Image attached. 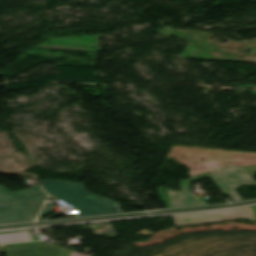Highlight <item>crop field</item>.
Masks as SVG:
<instances>
[{"instance_id": "obj_4", "label": "crop field", "mask_w": 256, "mask_h": 256, "mask_svg": "<svg viewBox=\"0 0 256 256\" xmlns=\"http://www.w3.org/2000/svg\"><path fill=\"white\" fill-rule=\"evenodd\" d=\"M175 226L247 218L256 221V206L199 214L173 216Z\"/></svg>"}, {"instance_id": "obj_5", "label": "crop field", "mask_w": 256, "mask_h": 256, "mask_svg": "<svg viewBox=\"0 0 256 256\" xmlns=\"http://www.w3.org/2000/svg\"><path fill=\"white\" fill-rule=\"evenodd\" d=\"M7 256H89L51 245L46 242L5 245Z\"/></svg>"}, {"instance_id": "obj_2", "label": "crop field", "mask_w": 256, "mask_h": 256, "mask_svg": "<svg viewBox=\"0 0 256 256\" xmlns=\"http://www.w3.org/2000/svg\"><path fill=\"white\" fill-rule=\"evenodd\" d=\"M220 190L229 195L233 201L242 200L234 190L241 185H256V182L244 166H232L208 172ZM182 191L174 192L164 188L170 208L207 204L205 200H196L189 183H180Z\"/></svg>"}, {"instance_id": "obj_1", "label": "crop field", "mask_w": 256, "mask_h": 256, "mask_svg": "<svg viewBox=\"0 0 256 256\" xmlns=\"http://www.w3.org/2000/svg\"><path fill=\"white\" fill-rule=\"evenodd\" d=\"M42 185L54 200L72 204L76 217L122 213L117 202L86 191L82 183L44 179Z\"/></svg>"}, {"instance_id": "obj_9", "label": "crop field", "mask_w": 256, "mask_h": 256, "mask_svg": "<svg viewBox=\"0 0 256 256\" xmlns=\"http://www.w3.org/2000/svg\"><path fill=\"white\" fill-rule=\"evenodd\" d=\"M59 215H61V214L56 213V214H54V215H52V216H50V217H47V218H45V219H51V218L56 217V216H59ZM43 220H44V219H43Z\"/></svg>"}, {"instance_id": "obj_3", "label": "crop field", "mask_w": 256, "mask_h": 256, "mask_svg": "<svg viewBox=\"0 0 256 256\" xmlns=\"http://www.w3.org/2000/svg\"><path fill=\"white\" fill-rule=\"evenodd\" d=\"M47 199L45 192L0 203V224L35 220Z\"/></svg>"}, {"instance_id": "obj_7", "label": "crop field", "mask_w": 256, "mask_h": 256, "mask_svg": "<svg viewBox=\"0 0 256 256\" xmlns=\"http://www.w3.org/2000/svg\"><path fill=\"white\" fill-rule=\"evenodd\" d=\"M32 240L28 231L0 233V243L23 242Z\"/></svg>"}, {"instance_id": "obj_6", "label": "crop field", "mask_w": 256, "mask_h": 256, "mask_svg": "<svg viewBox=\"0 0 256 256\" xmlns=\"http://www.w3.org/2000/svg\"><path fill=\"white\" fill-rule=\"evenodd\" d=\"M41 188L39 186L16 191V192H10L7 189H5L3 186H0V201H5L37 192H41Z\"/></svg>"}, {"instance_id": "obj_8", "label": "crop field", "mask_w": 256, "mask_h": 256, "mask_svg": "<svg viewBox=\"0 0 256 256\" xmlns=\"http://www.w3.org/2000/svg\"><path fill=\"white\" fill-rule=\"evenodd\" d=\"M55 203H46L45 207L43 208L41 214L39 215L38 218L43 217L49 213H51L53 211V207H54Z\"/></svg>"}, {"instance_id": "obj_10", "label": "crop field", "mask_w": 256, "mask_h": 256, "mask_svg": "<svg viewBox=\"0 0 256 256\" xmlns=\"http://www.w3.org/2000/svg\"><path fill=\"white\" fill-rule=\"evenodd\" d=\"M250 1H256V0H250Z\"/></svg>"}]
</instances>
